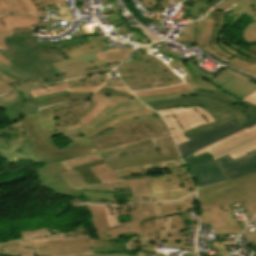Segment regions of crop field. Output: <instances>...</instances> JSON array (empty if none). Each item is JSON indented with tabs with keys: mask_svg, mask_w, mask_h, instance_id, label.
<instances>
[{
	"mask_svg": "<svg viewBox=\"0 0 256 256\" xmlns=\"http://www.w3.org/2000/svg\"><path fill=\"white\" fill-rule=\"evenodd\" d=\"M36 173L40 184L62 196L79 198L86 190L115 192L116 198L152 197L144 178L121 182L97 152L48 163Z\"/></svg>",
	"mask_w": 256,
	"mask_h": 256,
	"instance_id": "8a807250",
	"label": "crop field"
},
{
	"mask_svg": "<svg viewBox=\"0 0 256 256\" xmlns=\"http://www.w3.org/2000/svg\"><path fill=\"white\" fill-rule=\"evenodd\" d=\"M99 238H116L133 231L157 243H164L156 233L157 217L152 203L88 205Z\"/></svg>",
	"mask_w": 256,
	"mask_h": 256,
	"instance_id": "ac0d7876",
	"label": "crop field"
},
{
	"mask_svg": "<svg viewBox=\"0 0 256 256\" xmlns=\"http://www.w3.org/2000/svg\"><path fill=\"white\" fill-rule=\"evenodd\" d=\"M37 36H13L5 38L7 50L15 60L8 67L0 62V72L22 82L32 76L46 79L49 83L63 81L64 78L51 63L64 60L53 48L36 43Z\"/></svg>",
	"mask_w": 256,
	"mask_h": 256,
	"instance_id": "34b2d1b8",
	"label": "crop field"
},
{
	"mask_svg": "<svg viewBox=\"0 0 256 256\" xmlns=\"http://www.w3.org/2000/svg\"><path fill=\"white\" fill-rule=\"evenodd\" d=\"M33 136V147L29 150L43 163L95 152L88 138L69 143V148H58L50 138L56 133L51 112L45 108L35 115L20 120Z\"/></svg>",
	"mask_w": 256,
	"mask_h": 256,
	"instance_id": "412701ff",
	"label": "crop field"
},
{
	"mask_svg": "<svg viewBox=\"0 0 256 256\" xmlns=\"http://www.w3.org/2000/svg\"><path fill=\"white\" fill-rule=\"evenodd\" d=\"M164 47L160 48L163 52L167 54H171L178 58L169 62V66L174 69L181 66L185 72L189 75L188 77L184 78L185 81L191 86L193 90L191 91H184L175 94H165V95H158V96H151L145 98H138L139 100L145 101H153V100H162L174 97H186L190 95H203L207 97L214 98L227 106H229L231 112L234 114L236 118L237 124L241 127L245 123L249 122L253 118L256 117V108L246 105L232 95L222 91L221 89L217 88L216 86L212 85L208 81L202 79L201 77L197 76L194 72H192L188 67H186L183 63L188 61L185 57L178 55L177 52L171 50V48L167 47L169 43H162Z\"/></svg>",
	"mask_w": 256,
	"mask_h": 256,
	"instance_id": "f4fd0767",
	"label": "crop field"
},
{
	"mask_svg": "<svg viewBox=\"0 0 256 256\" xmlns=\"http://www.w3.org/2000/svg\"><path fill=\"white\" fill-rule=\"evenodd\" d=\"M115 173L121 180L145 177L155 201L180 200L188 194L195 193V181L186 167L141 172L137 166Z\"/></svg>",
	"mask_w": 256,
	"mask_h": 256,
	"instance_id": "dd49c442",
	"label": "crop field"
},
{
	"mask_svg": "<svg viewBox=\"0 0 256 256\" xmlns=\"http://www.w3.org/2000/svg\"><path fill=\"white\" fill-rule=\"evenodd\" d=\"M25 246L34 247L38 256H70L89 254L90 248L101 246L100 239H91L88 231L68 234L54 229L21 233Z\"/></svg>",
	"mask_w": 256,
	"mask_h": 256,
	"instance_id": "e52e79f7",
	"label": "crop field"
},
{
	"mask_svg": "<svg viewBox=\"0 0 256 256\" xmlns=\"http://www.w3.org/2000/svg\"><path fill=\"white\" fill-rule=\"evenodd\" d=\"M183 161L192 171L198 187L226 180L217 164L226 173L228 177L226 181L256 172V152L235 160H232L229 155L214 160L210 154L206 153L197 157H188Z\"/></svg>",
	"mask_w": 256,
	"mask_h": 256,
	"instance_id": "d8731c3e",
	"label": "crop field"
},
{
	"mask_svg": "<svg viewBox=\"0 0 256 256\" xmlns=\"http://www.w3.org/2000/svg\"><path fill=\"white\" fill-rule=\"evenodd\" d=\"M201 206H216L245 201L251 217L256 213V173L197 190Z\"/></svg>",
	"mask_w": 256,
	"mask_h": 256,
	"instance_id": "5a996713",
	"label": "crop field"
},
{
	"mask_svg": "<svg viewBox=\"0 0 256 256\" xmlns=\"http://www.w3.org/2000/svg\"><path fill=\"white\" fill-rule=\"evenodd\" d=\"M158 216L156 231L167 242L166 247H176L182 249L194 250V245L185 246L186 236L184 230L186 227L182 221L180 212L187 213V216L193 227V223L187 211L197 210L194 195L187 196L179 202L153 203Z\"/></svg>",
	"mask_w": 256,
	"mask_h": 256,
	"instance_id": "3316defc",
	"label": "crop field"
},
{
	"mask_svg": "<svg viewBox=\"0 0 256 256\" xmlns=\"http://www.w3.org/2000/svg\"><path fill=\"white\" fill-rule=\"evenodd\" d=\"M116 70L132 91L155 88L154 85L179 79L162 62L149 55L134 54L128 63Z\"/></svg>",
	"mask_w": 256,
	"mask_h": 256,
	"instance_id": "28ad6ade",
	"label": "crop field"
},
{
	"mask_svg": "<svg viewBox=\"0 0 256 256\" xmlns=\"http://www.w3.org/2000/svg\"><path fill=\"white\" fill-rule=\"evenodd\" d=\"M167 135H170L169 130L161 118H149L126 124L91 142L97 151H101L144 138H157Z\"/></svg>",
	"mask_w": 256,
	"mask_h": 256,
	"instance_id": "d1516ede",
	"label": "crop field"
},
{
	"mask_svg": "<svg viewBox=\"0 0 256 256\" xmlns=\"http://www.w3.org/2000/svg\"><path fill=\"white\" fill-rule=\"evenodd\" d=\"M148 106L151 108L158 110L163 108H171L185 105L188 106H202L205 110H207L217 121L211 124L203 125L202 127H198L196 129L188 130L184 132L187 138L198 135L204 131H208L216 126L222 125L226 122L234 120V117L229 107L225 106L224 104L203 96H190L186 98H175V99H168L162 101H153V102H146Z\"/></svg>",
	"mask_w": 256,
	"mask_h": 256,
	"instance_id": "22f410ed",
	"label": "crop field"
},
{
	"mask_svg": "<svg viewBox=\"0 0 256 256\" xmlns=\"http://www.w3.org/2000/svg\"><path fill=\"white\" fill-rule=\"evenodd\" d=\"M33 138L20 121L0 130V157L11 164L31 160L36 166L43 165L27 149L33 146Z\"/></svg>",
	"mask_w": 256,
	"mask_h": 256,
	"instance_id": "cbeb9de0",
	"label": "crop field"
},
{
	"mask_svg": "<svg viewBox=\"0 0 256 256\" xmlns=\"http://www.w3.org/2000/svg\"><path fill=\"white\" fill-rule=\"evenodd\" d=\"M177 110V111H176ZM167 122L176 144L187 141L184 131L216 121L203 108L184 106L157 111ZM174 118V120H173Z\"/></svg>",
	"mask_w": 256,
	"mask_h": 256,
	"instance_id": "5142ce71",
	"label": "crop field"
},
{
	"mask_svg": "<svg viewBox=\"0 0 256 256\" xmlns=\"http://www.w3.org/2000/svg\"><path fill=\"white\" fill-rule=\"evenodd\" d=\"M256 150V126L244 129L230 137L197 151L194 156L210 153L214 159L229 154L232 159L244 156Z\"/></svg>",
	"mask_w": 256,
	"mask_h": 256,
	"instance_id": "d9b57169",
	"label": "crop field"
},
{
	"mask_svg": "<svg viewBox=\"0 0 256 256\" xmlns=\"http://www.w3.org/2000/svg\"><path fill=\"white\" fill-rule=\"evenodd\" d=\"M224 14L211 11L198 22L186 24L187 33L175 39L179 42H193L197 45L218 44L219 34L224 28Z\"/></svg>",
	"mask_w": 256,
	"mask_h": 256,
	"instance_id": "733c2abd",
	"label": "crop field"
},
{
	"mask_svg": "<svg viewBox=\"0 0 256 256\" xmlns=\"http://www.w3.org/2000/svg\"><path fill=\"white\" fill-rule=\"evenodd\" d=\"M152 141L157 152L114 161L107 163V166L112 167L113 170L116 171L137 165L158 163L180 158L171 136L153 139Z\"/></svg>",
	"mask_w": 256,
	"mask_h": 256,
	"instance_id": "4a817a6b",
	"label": "crop field"
},
{
	"mask_svg": "<svg viewBox=\"0 0 256 256\" xmlns=\"http://www.w3.org/2000/svg\"><path fill=\"white\" fill-rule=\"evenodd\" d=\"M225 33L226 32L221 33L219 45L197 46L193 43L183 44L203 50L204 52L214 56L225 64L229 61L242 69L256 73V61H251L247 59L248 56L256 58V45H252L247 50L237 53L235 51H232L233 49L231 50L227 46H224L225 44L223 43V35H225Z\"/></svg>",
	"mask_w": 256,
	"mask_h": 256,
	"instance_id": "bc2a9ffb",
	"label": "crop field"
},
{
	"mask_svg": "<svg viewBox=\"0 0 256 256\" xmlns=\"http://www.w3.org/2000/svg\"><path fill=\"white\" fill-rule=\"evenodd\" d=\"M56 4L58 18L71 20L66 0H0V13L37 14L46 16L43 6Z\"/></svg>",
	"mask_w": 256,
	"mask_h": 256,
	"instance_id": "214f88e0",
	"label": "crop field"
},
{
	"mask_svg": "<svg viewBox=\"0 0 256 256\" xmlns=\"http://www.w3.org/2000/svg\"><path fill=\"white\" fill-rule=\"evenodd\" d=\"M256 124V119L252 120L248 124L244 125L243 127L239 128L235 121L227 123L225 125L219 126L214 128L208 132H204L198 136H194L189 138V141L178 144L179 152L183 157H187L198 149L208 146L221 138L227 137L237 131L244 129L245 127L248 129Z\"/></svg>",
	"mask_w": 256,
	"mask_h": 256,
	"instance_id": "92a150f3",
	"label": "crop field"
},
{
	"mask_svg": "<svg viewBox=\"0 0 256 256\" xmlns=\"http://www.w3.org/2000/svg\"><path fill=\"white\" fill-rule=\"evenodd\" d=\"M201 223L216 226L215 234L240 233L241 230L228 205L216 207H202Z\"/></svg>",
	"mask_w": 256,
	"mask_h": 256,
	"instance_id": "dafd665d",
	"label": "crop field"
},
{
	"mask_svg": "<svg viewBox=\"0 0 256 256\" xmlns=\"http://www.w3.org/2000/svg\"><path fill=\"white\" fill-rule=\"evenodd\" d=\"M225 68V67H224ZM209 81L239 100L256 89V81L241 76L229 68Z\"/></svg>",
	"mask_w": 256,
	"mask_h": 256,
	"instance_id": "00972430",
	"label": "crop field"
},
{
	"mask_svg": "<svg viewBox=\"0 0 256 256\" xmlns=\"http://www.w3.org/2000/svg\"><path fill=\"white\" fill-rule=\"evenodd\" d=\"M106 64V62L98 61L95 58V51L89 54L74 57L58 63H54L53 66L67 79H72L80 76H85L91 72H102L112 70L113 67L97 69L93 71L85 72L83 68Z\"/></svg>",
	"mask_w": 256,
	"mask_h": 256,
	"instance_id": "a9b5d70f",
	"label": "crop field"
},
{
	"mask_svg": "<svg viewBox=\"0 0 256 256\" xmlns=\"http://www.w3.org/2000/svg\"><path fill=\"white\" fill-rule=\"evenodd\" d=\"M96 103L83 101L57 104L48 109L54 116L56 127L79 122L76 119L87 113Z\"/></svg>",
	"mask_w": 256,
	"mask_h": 256,
	"instance_id": "4177f3b9",
	"label": "crop field"
},
{
	"mask_svg": "<svg viewBox=\"0 0 256 256\" xmlns=\"http://www.w3.org/2000/svg\"><path fill=\"white\" fill-rule=\"evenodd\" d=\"M155 151L156 150L151 140H143V141L132 143L126 146L102 151V152H99V154L104 160V162L107 163L110 161L130 157V156H135V155L147 154Z\"/></svg>",
	"mask_w": 256,
	"mask_h": 256,
	"instance_id": "730fd06b",
	"label": "crop field"
},
{
	"mask_svg": "<svg viewBox=\"0 0 256 256\" xmlns=\"http://www.w3.org/2000/svg\"><path fill=\"white\" fill-rule=\"evenodd\" d=\"M98 88L99 87H87V86L68 88L66 82L64 81L62 83H55V84L46 85V86L22 89V90H18V92L23 91V98L25 100H28L31 98H37L43 95L58 93L62 91H68V93H77V92L93 93Z\"/></svg>",
	"mask_w": 256,
	"mask_h": 256,
	"instance_id": "eef30255",
	"label": "crop field"
},
{
	"mask_svg": "<svg viewBox=\"0 0 256 256\" xmlns=\"http://www.w3.org/2000/svg\"><path fill=\"white\" fill-rule=\"evenodd\" d=\"M25 101L15 91L0 97V109H4L6 117L12 123L17 119L32 114L21 102Z\"/></svg>",
	"mask_w": 256,
	"mask_h": 256,
	"instance_id": "ae1a2a85",
	"label": "crop field"
},
{
	"mask_svg": "<svg viewBox=\"0 0 256 256\" xmlns=\"http://www.w3.org/2000/svg\"><path fill=\"white\" fill-rule=\"evenodd\" d=\"M39 24L38 16L0 15V37L13 34L12 29L30 28Z\"/></svg>",
	"mask_w": 256,
	"mask_h": 256,
	"instance_id": "d3111659",
	"label": "crop field"
},
{
	"mask_svg": "<svg viewBox=\"0 0 256 256\" xmlns=\"http://www.w3.org/2000/svg\"><path fill=\"white\" fill-rule=\"evenodd\" d=\"M90 100L98 104L94 106L87 114L77 119L82 124L92 120L100 112H102L108 105L113 107L116 104H121L127 101H132L137 99H123V98H118L114 96H104V95L94 94Z\"/></svg>",
	"mask_w": 256,
	"mask_h": 256,
	"instance_id": "750c4746",
	"label": "crop field"
},
{
	"mask_svg": "<svg viewBox=\"0 0 256 256\" xmlns=\"http://www.w3.org/2000/svg\"><path fill=\"white\" fill-rule=\"evenodd\" d=\"M133 113L139 115L153 113V111L149 109L147 106L143 105L142 103L123 105L121 107L109 111L107 115H105L103 118H101L100 120H98L90 126L97 128L110 120Z\"/></svg>",
	"mask_w": 256,
	"mask_h": 256,
	"instance_id": "bd1437ed",
	"label": "crop field"
},
{
	"mask_svg": "<svg viewBox=\"0 0 256 256\" xmlns=\"http://www.w3.org/2000/svg\"><path fill=\"white\" fill-rule=\"evenodd\" d=\"M130 243H125L127 251H137L138 256H164L162 253H156L154 243L145 237L137 236L129 239Z\"/></svg>",
	"mask_w": 256,
	"mask_h": 256,
	"instance_id": "1d83c4d3",
	"label": "crop field"
},
{
	"mask_svg": "<svg viewBox=\"0 0 256 256\" xmlns=\"http://www.w3.org/2000/svg\"><path fill=\"white\" fill-rule=\"evenodd\" d=\"M87 39L90 43L65 47L61 48V50H63L69 56V58L83 55L94 50H96V53L102 52L99 49L106 44L104 41H98L95 36H90ZM81 49H83V51H81Z\"/></svg>",
	"mask_w": 256,
	"mask_h": 256,
	"instance_id": "120bbe31",
	"label": "crop field"
},
{
	"mask_svg": "<svg viewBox=\"0 0 256 256\" xmlns=\"http://www.w3.org/2000/svg\"><path fill=\"white\" fill-rule=\"evenodd\" d=\"M87 203L115 204V201L126 200L128 202L153 201L152 198L115 199L114 193H98L82 191ZM81 194V195H82Z\"/></svg>",
	"mask_w": 256,
	"mask_h": 256,
	"instance_id": "d32e631a",
	"label": "crop field"
},
{
	"mask_svg": "<svg viewBox=\"0 0 256 256\" xmlns=\"http://www.w3.org/2000/svg\"><path fill=\"white\" fill-rule=\"evenodd\" d=\"M132 54V49L126 48V50L121 49H110L106 52L96 54V58L99 60L107 61L109 63H123L127 61Z\"/></svg>",
	"mask_w": 256,
	"mask_h": 256,
	"instance_id": "5866460e",
	"label": "crop field"
},
{
	"mask_svg": "<svg viewBox=\"0 0 256 256\" xmlns=\"http://www.w3.org/2000/svg\"><path fill=\"white\" fill-rule=\"evenodd\" d=\"M107 75L78 78V79L69 80V81H66V82H67L69 87L82 86V85L102 86V84L104 83V81L107 78Z\"/></svg>",
	"mask_w": 256,
	"mask_h": 256,
	"instance_id": "028f5c9d",
	"label": "crop field"
},
{
	"mask_svg": "<svg viewBox=\"0 0 256 256\" xmlns=\"http://www.w3.org/2000/svg\"><path fill=\"white\" fill-rule=\"evenodd\" d=\"M190 90V87L187 84H182L176 87L171 88H162V89H153V90H145L140 92H135L134 94L137 97L165 94V93H174L178 91Z\"/></svg>",
	"mask_w": 256,
	"mask_h": 256,
	"instance_id": "e1f06a70",
	"label": "crop field"
},
{
	"mask_svg": "<svg viewBox=\"0 0 256 256\" xmlns=\"http://www.w3.org/2000/svg\"><path fill=\"white\" fill-rule=\"evenodd\" d=\"M97 133L94 128L90 127L89 125L82 127L78 130L70 131L67 133L62 134L63 138H67L70 142L83 139L89 137L93 134Z\"/></svg>",
	"mask_w": 256,
	"mask_h": 256,
	"instance_id": "0bd39190",
	"label": "crop field"
},
{
	"mask_svg": "<svg viewBox=\"0 0 256 256\" xmlns=\"http://www.w3.org/2000/svg\"><path fill=\"white\" fill-rule=\"evenodd\" d=\"M237 1H239V0H225L223 3L215 6L213 9L220 8V9L225 10L226 8H228L229 6H231L232 4H234ZM237 12L243 13L246 16L250 17L252 19V21L256 24V3L249 5L247 7H244L242 9L238 10Z\"/></svg>",
	"mask_w": 256,
	"mask_h": 256,
	"instance_id": "b80d0937",
	"label": "crop field"
},
{
	"mask_svg": "<svg viewBox=\"0 0 256 256\" xmlns=\"http://www.w3.org/2000/svg\"><path fill=\"white\" fill-rule=\"evenodd\" d=\"M94 93L104 94V95H114V96H119V97H123V98H134V96L128 90V88L126 86L102 87L100 90H98Z\"/></svg>",
	"mask_w": 256,
	"mask_h": 256,
	"instance_id": "c035e120",
	"label": "crop field"
},
{
	"mask_svg": "<svg viewBox=\"0 0 256 256\" xmlns=\"http://www.w3.org/2000/svg\"><path fill=\"white\" fill-rule=\"evenodd\" d=\"M90 96L91 94H85V93L68 94L65 96L49 98L43 102V105L45 107L51 104L61 103V102L70 101V100L88 99Z\"/></svg>",
	"mask_w": 256,
	"mask_h": 256,
	"instance_id": "c21b1889",
	"label": "crop field"
},
{
	"mask_svg": "<svg viewBox=\"0 0 256 256\" xmlns=\"http://www.w3.org/2000/svg\"><path fill=\"white\" fill-rule=\"evenodd\" d=\"M136 102H139V101H133V102H127V103H136ZM125 103V104H127ZM123 105V104H122ZM117 106H120V105H117ZM115 106V107H117ZM114 108V107H113ZM112 109L111 107H107L101 114H99L96 118H94L92 121H90L89 123L87 124H92L93 122L97 121L98 119H100L102 116H104L106 113H108L107 111ZM85 124V125H87ZM85 125H82L80 122L79 123H76V124H72V125H68V126H64V127H58L56 128L57 129V133H64V132H67V131H70V130H74V129H77L79 127H82V126H85Z\"/></svg>",
	"mask_w": 256,
	"mask_h": 256,
	"instance_id": "03da06ac",
	"label": "crop field"
},
{
	"mask_svg": "<svg viewBox=\"0 0 256 256\" xmlns=\"http://www.w3.org/2000/svg\"><path fill=\"white\" fill-rule=\"evenodd\" d=\"M0 256H35L34 249H20V250H12L0 252ZM88 256H105V255H88Z\"/></svg>",
	"mask_w": 256,
	"mask_h": 256,
	"instance_id": "b54c1fbb",
	"label": "crop field"
},
{
	"mask_svg": "<svg viewBox=\"0 0 256 256\" xmlns=\"http://www.w3.org/2000/svg\"><path fill=\"white\" fill-rule=\"evenodd\" d=\"M39 84H48V83L45 79L41 80V79L32 77L31 79H29L28 81H26L24 83L18 81L15 84L11 85V87H13L15 90H17L20 88L32 87L34 85H39Z\"/></svg>",
	"mask_w": 256,
	"mask_h": 256,
	"instance_id": "5d738f31",
	"label": "crop field"
},
{
	"mask_svg": "<svg viewBox=\"0 0 256 256\" xmlns=\"http://www.w3.org/2000/svg\"><path fill=\"white\" fill-rule=\"evenodd\" d=\"M24 248L21 240H12L0 243V251Z\"/></svg>",
	"mask_w": 256,
	"mask_h": 256,
	"instance_id": "d23c7cc5",
	"label": "crop field"
},
{
	"mask_svg": "<svg viewBox=\"0 0 256 256\" xmlns=\"http://www.w3.org/2000/svg\"><path fill=\"white\" fill-rule=\"evenodd\" d=\"M149 117H159V116H158V115H154V116H148V117H142V118L136 117V118L128 119V120H126V121H123V122H121V123L115 124V125H113V126L107 128V129H105V130H103V131H101V132H99V133H97V134H95V135L89 137V139H90V141H91V140H93V139H95V138H97V137L103 135L104 133H106V132H108V131H111V130H113V129H115V128H117V127H119V126H121V125H123V124H125V123L132 122V121H136V120H139V119H145V118H149Z\"/></svg>",
	"mask_w": 256,
	"mask_h": 256,
	"instance_id": "425ffa30",
	"label": "crop field"
},
{
	"mask_svg": "<svg viewBox=\"0 0 256 256\" xmlns=\"http://www.w3.org/2000/svg\"><path fill=\"white\" fill-rule=\"evenodd\" d=\"M235 241H212V245L218 251L220 256H230L225 250L224 245H233ZM217 245V246H215Z\"/></svg>",
	"mask_w": 256,
	"mask_h": 256,
	"instance_id": "25e5ab78",
	"label": "crop field"
},
{
	"mask_svg": "<svg viewBox=\"0 0 256 256\" xmlns=\"http://www.w3.org/2000/svg\"><path fill=\"white\" fill-rule=\"evenodd\" d=\"M243 39L256 42V25H249L245 28Z\"/></svg>",
	"mask_w": 256,
	"mask_h": 256,
	"instance_id": "73cf0c24",
	"label": "crop field"
},
{
	"mask_svg": "<svg viewBox=\"0 0 256 256\" xmlns=\"http://www.w3.org/2000/svg\"><path fill=\"white\" fill-rule=\"evenodd\" d=\"M196 62L194 59L190 60L189 62L185 63L186 66H188L190 69H192V71H194L196 74L200 75L202 78L206 79V80H211L213 79L212 77H210L209 75L205 74L203 71H201L199 68H197L196 66H194L192 63Z\"/></svg>",
	"mask_w": 256,
	"mask_h": 256,
	"instance_id": "89e229c0",
	"label": "crop field"
},
{
	"mask_svg": "<svg viewBox=\"0 0 256 256\" xmlns=\"http://www.w3.org/2000/svg\"><path fill=\"white\" fill-rule=\"evenodd\" d=\"M243 16L242 14L234 13V12H228L227 14V22H228V29L239 19H241Z\"/></svg>",
	"mask_w": 256,
	"mask_h": 256,
	"instance_id": "1f2cbd36",
	"label": "crop field"
},
{
	"mask_svg": "<svg viewBox=\"0 0 256 256\" xmlns=\"http://www.w3.org/2000/svg\"><path fill=\"white\" fill-rule=\"evenodd\" d=\"M135 116H136V115L133 114V115H128V116H124V117L115 119V120H113V121H110V122H108V123L102 125L101 127L97 128L96 130H97V132H99V131H101V130H103V129H105V128H107V127H109V126H111V125H113V124H115V123L121 122V121H123V120H126V119L131 118V117H135Z\"/></svg>",
	"mask_w": 256,
	"mask_h": 256,
	"instance_id": "dbb93151",
	"label": "crop field"
},
{
	"mask_svg": "<svg viewBox=\"0 0 256 256\" xmlns=\"http://www.w3.org/2000/svg\"><path fill=\"white\" fill-rule=\"evenodd\" d=\"M244 103H247L251 106H255L256 107V91H254L253 93L249 94L248 96L244 97L242 100H240Z\"/></svg>",
	"mask_w": 256,
	"mask_h": 256,
	"instance_id": "0fb4a251",
	"label": "crop field"
},
{
	"mask_svg": "<svg viewBox=\"0 0 256 256\" xmlns=\"http://www.w3.org/2000/svg\"><path fill=\"white\" fill-rule=\"evenodd\" d=\"M184 1L189 2V3H193V4H195L197 1L208 3L209 5L204 10H201L203 12H207V10L212 7V5L218 3L221 0H184Z\"/></svg>",
	"mask_w": 256,
	"mask_h": 256,
	"instance_id": "1d79db26",
	"label": "crop field"
},
{
	"mask_svg": "<svg viewBox=\"0 0 256 256\" xmlns=\"http://www.w3.org/2000/svg\"><path fill=\"white\" fill-rule=\"evenodd\" d=\"M178 0H158V5H157V9L155 11H153L154 13H161L162 12V8H164V6L170 4L171 2L177 3Z\"/></svg>",
	"mask_w": 256,
	"mask_h": 256,
	"instance_id": "9d1cf04e",
	"label": "crop field"
},
{
	"mask_svg": "<svg viewBox=\"0 0 256 256\" xmlns=\"http://www.w3.org/2000/svg\"><path fill=\"white\" fill-rule=\"evenodd\" d=\"M141 2L148 11L155 10L157 5V0H141Z\"/></svg>",
	"mask_w": 256,
	"mask_h": 256,
	"instance_id": "447ae74e",
	"label": "crop field"
},
{
	"mask_svg": "<svg viewBox=\"0 0 256 256\" xmlns=\"http://www.w3.org/2000/svg\"><path fill=\"white\" fill-rule=\"evenodd\" d=\"M182 4L192 6L190 12H193V13H198L200 9H204L207 6V4L200 3V2H197L195 5L184 3V2Z\"/></svg>",
	"mask_w": 256,
	"mask_h": 256,
	"instance_id": "0765c3eb",
	"label": "crop field"
},
{
	"mask_svg": "<svg viewBox=\"0 0 256 256\" xmlns=\"http://www.w3.org/2000/svg\"><path fill=\"white\" fill-rule=\"evenodd\" d=\"M120 85H124V84L120 81L119 77H114V78H108V80L103 86H120Z\"/></svg>",
	"mask_w": 256,
	"mask_h": 256,
	"instance_id": "db79e9e6",
	"label": "crop field"
},
{
	"mask_svg": "<svg viewBox=\"0 0 256 256\" xmlns=\"http://www.w3.org/2000/svg\"><path fill=\"white\" fill-rule=\"evenodd\" d=\"M255 2H256V0H242V1H239V2L235 3L236 5L230 11H236L239 8H242V7H244L248 4L255 3Z\"/></svg>",
	"mask_w": 256,
	"mask_h": 256,
	"instance_id": "7b73153f",
	"label": "crop field"
},
{
	"mask_svg": "<svg viewBox=\"0 0 256 256\" xmlns=\"http://www.w3.org/2000/svg\"><path fill=\"white\" fill-rule=\"evenodd\" d=\"M249 244H253L256 248V235L255 236H244Z\"/></svg>",
	"mask_w": 256,
	"mask_h": 256,
	"instance_id": "78b8030e",
	"label": "crop field"
},
{
	"mask_svg": "<svg viewBox=\"0 0 256 256\" xmlns=\"http://www.w3.org/2000/svg\"><path fill=\"white\" fill-rule=\"evenodd\" d=\"M178 83H182L180 79L177 80V81H174V82H170V83H166V84L157 85V86H155V87H156V88L165 87V86H169V85H173V84H178Z\"/></svg>",
	"mask_w": 256,
	"mask_h": 256,
	"instance_id": "0f1d7ab4",
	"label": "crop field"
},
{
	"mask_svg": "<svg viewBox=\"0 0 256 256\" xmlns=\"http://www.w3.org/2000/svg\"><path fill=\"white\" fill-rule=\"evenodd\" d=\"M103 1H105L106 5H111V7L113 6L118 7L115 0H103Z\"/></svg>",
	"mask_w": 256,
	"mask_h": 256,
	"instance_id": "e1d0b9f6",
	"label": "crop field"
},
{
	"mask_svg": "<svg viewBox=\"0 0 256 256\" xmlns=\"http://www.w3.org/2000/svg\"><path fill=\"white\" fill-rule=\"evenodd\" d=\"M0 54L3 55L7 60H9L11 63L13 62V58L11 56H9L8 54H6L5 52H3L2 50H0Z\"/></svg>",
	"mask_w": 256,
	"mask_h": 256,
	"instance_id": "ae633e8c",
	"label": "crop field"
},
{
	"mask_svg": "<svg viewBox=\"0 0 256 256\" xmlns=\"http://www.w3.org/2000/svg\"><path fill=\"white\" fill-rule=\"evenodd\" d=\"M227 65H229V66H231V67H235V68H237V69H239V70H241V71H243V72H245V73H247V74H250V75H252V76H255L256 77V74H252V73H249V72H247V71H245V70H242V69H240V68H238V67H236V66H234V65H232L231 63H227Z\"/></svg>",
	"mask_w": 256,
	"mask_h": 256,
	"instance_id": "d14b1444",
	"label": "crop field"
},
{
	"mask_svg": "<svg viewBox=\"0 0 256 256\" xmlns=\"http://www.w3.org/2000/svg\"><path fill=\"white\" fill-rule=\"evenodd\" d=\"M102 66L108 67V66H111V65L106 64V65H102ZM102 66H97V67H92V68H86L85 71L92 70V69H97V68H102Z\"/></svg>",
	"mask_w": 256,
	"mask_h": 256,
	"instance_id": "c39391a2",
	"label": "crop field"
},
{
	"mask_svg": "<svg viewBox=\"0 0 256 256\" xmlns=\"http://www.w3.org/2000/svg\"><path fill=\"white\" fill-rule=\"evenodd\" d=\"M7 92H10V91L7 90L6 88L0 86V95H1V94H4V93H7Z\"/></svg>",
	"mask_w": 256,
	"mask_h": 256,
	"instance_id": "ade564c9",
	"label": "crop field"
},
{
	"mask_svg": "<svg viewBox=\"0 0 256 256\" xmlns=\"http://www.w3.org/2000/svg\"><path fill=\"white\" fill-rule=\"evenodd\" d=\"M0 49H6L5 48V43H4V39L0 38Z\"/></svg>",
	"mask_w": 256,
	"mask_h": 256,
	"instance_id": "c5b07064",
	"label": "crop field"
},
{
	"mask_svg": "<svg viewBox=\"0 0 256 256\" xmlns=\"http://www.w3.org/2000/svg\"><path fill=\"white\" fill-rule=\"evenodd\" d=\"M183 256H196L195 253H189V255H183Z\"/></svg>",
	"mask_w": 256,
	"mask_h": 256,
	"instance_id": "c3a83c6f",
	"label": "crop field"
},
{
	"mask_svg": "<svg viewBox=\"0 0 256 256\" xmlns=\"http://www.w3.org/2000/svg\"><path fill=\"white\" fill-rule=\"evenodd\" d=\"M154 114H157V113H153V114H146V115H140V116H138V117L148 116V115H154Z\"/></svg>",
	"mask_w": 256,
	"mask_h": 256,
	"instance_id": "fb207236",
	"label": "crop field"
},
{
	"mask_svg": "<svg viewBox=\"0 0 256 256\" xmlns=\"http://www.w3.org/2000/svg\"><path fill=\"white\" fill-rule=\"evenodd\" d=\"M253 221H254V223H255V225H256V216H255V218L253 219Z\"/></svg>",
	"mask_w": 256,
	"mask_h": 256,
	"instance_id": "7312dd0a",
	"label": "crop field"
},
{
	"mask_svg": "<svg viewBox=\"0 0 256 256\" xmlns=\"http://www.w3.org/2000/svg\"><path fill=\"white\" fill-rule=\"evenodd\" d=\"M232 256H238L237 254H235V255H232Z\"/></svg>",
	"mask_w": 256,
	"mask_h": 256,
	"instance_id": "180be81f",
	"label": "crop field"
}]
</instances>
